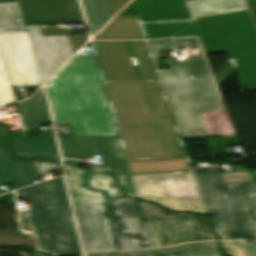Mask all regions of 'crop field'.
I'll use <instances>...</instances> for the list:
<instances>
[{
	"label": "crop field",
	"mask_w": 256,
	"mask_h": 256,
	"mask_svg": "<svg viewBox=\"0 0 256 256\" xmlns=\"http://www.w3.org/2000/svg\"><path fill=\"white\" fill-rule=\"evenodd\" d=\"M131 175L191 171L159 82H103Z\"/></svg>",
	"instance_id": "obj_1"
},
{
	"label": "crop field",
	"mask_w": 256,
	"mask_h": 256,
	"mask_svg": "<svg viewBox=\"0 0 256 256\" xmlns=\"http://www.w3.org/2000/svg\"><path fill=\"white\" fill-rule=\"evenodd\" d=\"M74 53L67 36L24 26L19 3L0 4V107L16 101L12 87H39Z\"/></svg>",
	"instance_id": "obj_2"
},
{
	"label": "crop field",
	"mask_w": 256,
	"mask_h": 256,
	"mask_svg": "<svg viewBox=\"0 0 256 256\" xmlns=\"http://www.w3.org/2000/svg\"><path fill=\"white\" fill-rule=\"evenodd\" d=\"M56 124L72 135L117 136L94 60L70 61L46 84Z\"/></svg>",
	"instance_id": "obj_3"
},
{
	"label": "crop field",
	"mask_w": 256,
	"mask_h": 256,
	"mask_svg": "<svg viewBox=\"0 0 256 256\" xmlns=\"http://www.w3.org/2000/svg\"><path fill=\"white\" fill-rule=\"evenodd\" d=\"M31 202L19 212L21 226L34 232L37 250L53 256L82 254L63 179L58 178L17 191Z\"/></svg>",
	"instance_id": "obj_4"
},
{
	"label": "crop field",
	"mask_w": 256,
	"mask_h": 256,
	"mask_svg": "<svg viewBox=\"0 0 256 256\" xmlns=\"http://www.w3.org/2000/svg\"><path fill=\"white\" fill-rule=\"evenodd\" d=\"M194 173L221 240L256 244L255 183L222 184L217 167L196 168Z\"/></svg>",
	"instance_id": "obj_5"
},
{
	"label": "crop field",
	"mask_w": 256,
	"mask_h": 256,
	"mask_svg": "<svg viewBox=\"0 0 256 256\" xmlns=\"http://www.w3.org/2000/svg\"><path fill=\"white\" fill-rule=\"evenodd\" d=\"M193 18L205 53H227L236 61L240 86L256 85V26L248 9Z\"/></svg>",
	"instance_id": "obj_6"
},
{
	"label": "crop field",
	"mask_w": 256,
	"mask_h": 256,
	"mask_svg": "<svg viewBox=\"0 0 256 256\" xmlns=\"http://www.w3.org/2000/svg\"><path fill=\"white\" fill-rule=\"evenodd\" d=\"M183 138L207 137L198 112L223 111L210 67L159 71Z\"/></svg>",
	"instance_id": "obj_7"
},
{
	"label": "crop field",
	"mask_w": 256,
	"mask_h": 256,
	"mask_svg": "<svg viewBox=\"0 0 256 256\" xmlns=\"http://www.w3.org/2000/svg\"><path fill=\"white\" fill-rule=\"evenodd\" d=\"M103 81H159L145 41L92 42Z\"/></svg>",
	"instance_id": "obj_8"
},
{
	"label": "crop field",
	"mask_w": 256,
	"mask_h": 256,
	"mask_svg": "<svg viewBox=\"0 0 256 256\" xmlns=\"http://www.w3.org/2000/svg\"><path fill=\"white\" fill-rule=\"evenodd\" d=\"M151 247H166L182 242L217 240L208 217L170 213L146 201L138 200Z\"/></svg>",
	"instance_id": "obj_9"
},
{
	"label": "crop field",
	"mask_w": 256,
	"mask_h": 256,
	"mask_svg": "<svg viewBox=\"0 0 256 256\" xmlns=\"http://www.w3.org/2000/svg\"><path fill=\"white\" fill-rule=\"evenodd\" d=\"M58 138L64 158L85 159L101 154L105 164L89 170L112 174L124 194L136 198L118 137L58 136Z\"/></svg>",
	"instance_id": "obj_10"
},
{
	"label": "crop field",
	"mask_w": 256,
	"mask_h": 256,
	"mask_svg": "<svg viewBox=\"0 0 256 256\" xmlns=\"http://www.w3.org/2000/svg\"><path fill=\"white\" fill-rule=\"evenodd\" d=\"M18 105L25 130L10 131L14 156L60 162L53 132L26 140L25 132L51 122L43 89Z\"/></svg>",
	"instance_id": "obj_11"
},
{
	"label": "crop field",
	"mask_w": 256,
	"mask_h": 256,
	"mask_svg": "<svg viewBox=\"0 0 256 256\" xmlns=\"http://www.w3.org/2000/svg\"><path fill=\"white\" fill-rule=\"evenodd\" d=\"M148 39L198 35L192 21L166 23V21L191 20L185 0H134Z\"/></svg>",
	"instance_id": "obj_12"
},
{
	"label": "crop field",
	"mask_w": 256,
	"mask_h": 256,
	"mask_svg": "<svg viewBox=\"0 0 256 256\" xmlns=\"http://www.w3.org/2000/svg\"><path fill=\"white\" fill-rule=\"evenodd\" d=\"M107 206L120 249L151 248L136 199L123 197Z\"/></svg>",
	"instance_id": "obj_13"
},
{
	"label": "crop field",
	"mask_w": 256,
	"mask_h": 256,
	"mask_svg": "<svg viewBox=\"0 0 256 256\" xmlns=\"http://www.w3.org/2000/svg\"><path fill=\"white\" fill-rule=\"evenodd\" d=\"M66 179L74 205L107 203L123 196L113 178L65 165Z\"/></svg>",
	"instance_id": "obj_14"
},
{
	"label": "crop field",
	"mask_w": 256,
	"mask_h": 256,
	"mask_svg": "<svg viewBox=\"0 0 256 256\" xmlns=\"http://www.w3.org/2000/svg\"><path fill=\"white\" fill-rule=\"evenodd\" d=\"M74 207L85 252L117 250L104 204Z\"/></svg>",
	"instance_id": "obj_15"
},
{
	"label": "crop field",
	"mask_w": 256,
	"mask_h": 256,
	"mask_svg": "<svg viewBox=\"0 0 256 256\" xmlns=\"http://www.w3.org/2000/svg\"><path fill=\"white\" fill-rule=\"evenodd\" d=\"M25 25L84 21L77 0H20Z\"/></svg>",
	"instance_id": "obj_16"
},
{
	"label": "crop field",
	"mask_w": 256,
	"mask_h": 256,
	"mask_svg": "<svg viewBox=\"0 0 256 256\" xmlns=\"http://www.w3.org/2000/svg\"><path fill=\"white\" fill-rule=\"evenodd\" d=\"M37 179L33 160L11 157L6 126L0 124V184L14 183L17 189Z\"/></svg>",
	"instance_id": "obj_17"
},
{
	"label": "crop field",
	"mask_w": 256,
	"mask_h": 256,
	"mask_svg": "<svg viewBox=\"0 0 256 256\" xmlns=\"http://www.w3.org/2000/svg\"><path fill=\"white\" fill-rule=\"evenodd\" d=\"M172 39L174 40L176 49L182 48L181 47L182 42H187L190 44L191 47L200 48L202 55L189 57L188 63H178L177 60L167 61L169 69L210 66L198 36L178 37V38H172ZM148 42L150 44L151 51L153 53V56L156 62H163V61H159L160 58H163L161 55V52L173 50L169 40H153Z\"/></svg>",
	"instance_id": "obj_18"
},
{
	"label": "crop field",
	"mask_w": 256,
	"mask_h": 256,
	"mask_svg": "<svg viewBox=\"0 0 256 256\" xmlns=\"http://www.w3.org/2000/svg\"><path fill=\"white\" fill-rule=\"evenodd\" d=\"M128 1L129 0H82L93 34L101 29Z\"/></svg>",
	"instance_id": "obj_19"
},
{
	"label": "crop field",
	"mask_w": 256,
	"mask_h": 256,
	"mask_svg": "<svg viewBox=\"0 0 256 256\" xmlns=\"http://www.w3.org/2000/svg\"><path fill=\"white\" fill-rule=\"evenodd\" d=\"M96 39H146L138 17H117Z\"/></svg>",
	"instance_id": "obj_20"
},
{
	"label": "crop field",
	"mask_w": 256,
	"mask_h": 256,
	"mask_svg": "<svg viewBox=\"0 0 256 256\" xmlns=\"http://www.w3.org/2000/svg\"><path fill=\"white\" fill-rule=\"evenodd\" d=\"M154 256H222L217 242L184 244L153 250Z\"/></svg>",
	"instance_id": "obj_21"
},
{
	"label": "crop field",
	"mask_w": 256,
	"mask_h": 256,
	"mask_svg": "<svg viewBox=\"0 0 256 256\" xmlns=\"http://www.w3.org/2000/svg\"><path fill=\"white\" fill-rule=\"evenodd\" d=\"M192 15L248 7L245 0H199L187 3Z\"/></svg>",
	"instance_id": "obj_22"
},
{
	"label": "crop field",
	"mask_w": 256,
	"mask_h": 256,
	"mask_svg": "<svg viewBox=\"0 0 256 256\" xmlns=\"http://www.w3.org/2000/svg\"><path fill=\"white\" fill-rule=\"evenodd\" d=\"M202 121L208 137L237 135L230 118Z\"/></svg>",
	"instance_id": "obj_23"
},
{
	"label": "crop field",
	"mask_w": 256,
	"mask_h": 256,
	"mask_svg": "<svg viewBox=\"0 0 256 256\" xmlns=\"http://www.w3.org/2000/svg\"><path fill=\"white\" fill-rule=\"evenodd\" d=\"M223 250L231 256H249L245 245L240 241L220 242Z\"/></svg>",
	"instance_id": "obj_24"
},
{
	"label": "crop field",
	"mask_w": 256,
	"mask_h": 256,
	"mask_svg": "<svg viewBox=\"0 0 256 256\" xmlns=\"http://www.w3.org/2000/svg\"><path fill=\"white\" fill-rule=\"evenodd\" d=\"M223 183L254 182L250 172L220 174Z\"/></svg>",
	"instance_id": "obj_25"
},
{
	"label": "crop field",
	"mask_w": 256,
	"mask_h": 256,
	"mask_svg": "<svg viewBox=\"0 0 256 256\" xmlns=\"http://www.w3.org/2000/svg\"><path fill=\"white\" fill-rule=\"evenodd\" d=\"M211 147L241 145L237 136L208 139Z\"/></svg>",
	"instance_id": "obj_26"
},
{
	"label": "crop field",
	"mask_w": 256,
	"mask_h": 256,
	"mask_svg": "<svg viewBox=\"0 0 256 256\" xmlns=\"http://www.w3.org/2000/svg\"><path fill=\"white\" fill-rule=\"evenodd\" d=\"M221 106L224 112H212V113H199L202 119H209V118H223V117H230L227 111L226 105L224 100H221Z\"/></svg>",
	"instance_id": "obj_27"
},
{
	"label": "crop field",
	"mask_w": 256,
	"mask_h": 256,
	"mask_svg": "<svg viewBox=\"0 0 256 256\" xmlns=\"http://www.w3.org/2000/svg\"><path fill=\"white\" fill-rule=\"evenodd\" d=\"M118 16H138L133 2H131Z\"/></svg>",
	"instance_id": "obj_28"
},
{
	"label": "crop field",
	"mask_w": 256,
	"mask_h": 256,
	"mask_svg": "<svg viewBox=\"0 0 256 256\" xmlns=\"http://www.w3.org/2000/svg\"><path fill=\"white\" fill-rule=\"evenodd\" d=\"M121 256H153L151 251L120 253Z\"/></svg>",
	"instance_id": "obj_29"
},
{
	"label": "crop field",
	"mask_w": 256,
	"mask_h": 256,
	"mask_svg": "<svg viewBox=\"0 0 256 256\" xmlns=\"http://www.w3.org/2000/svg\"><path fill=\"white\" fill-rule=\"evenodd\" d=\"M256 21V0H246Z\"/></svg>",
	"instance_id": "obj_30"
},
{
	"label": "crop field",
	"mask_w": 256,
	"mask_h": 256,
	"mask_svg": "<svg viewBox=\"0 0 256 256\" xmlns=\"http://www.w3.org/2000/svg\"><path fill=\"white\" fill-rule=\"evenodd\" d=\"M86 256H118V252L86 254Z\"/></svg>",
	"instance_id": "obj_31"
},
{
	"label": "crop field",
	"mask_w": 256,
	"mask_h": 256,
	"mask_svg": "<svg viewBox=\"0 0 256 256\" xmlns=\"http://www.w3.org/2000/svg\"><path fill=\"white\" fill-rule=\"evenodd\" d=\"M250 256H256V246H246Z\"/></svg>",
	"instance_id": "obj_32"
},
{
	"label": "crop field",
	"mask_w": 256,
	"mask_h": 256,
	"mask_svg": "<svg viewBox=\"0 0 256 256\" xmlns=\"http://www.w3.org/2000/svg\"><path fill=\"white\" fill-rule=\"evenodd\" d=\"M64 162L67 163V164H74L76 166H79V165L84 163V162H81V161H74V160H64Z\"/></svg>",
	"instance_id": "obj_33"
},
{
	"label": "crop field",
	"mask_w": 256,
	"mask_h": 256,
	"mask_svg": "<svg viewBox=\"0 0 256 256\" xmlns=\"http://www.w3.org/2000/svg\"><path fill=\"white\" fill-rule=\"evenodd\" d=\"M12 2H19L18 0H0V3H12Z\"/></svg>",
	"instance_id": "obj_34"
},
{
	"label": "crop field",
	"mask_w": 256,
	"mask_h": 256,
	"mask_svg": "<svg viewBox=\"0 0 256 256\" xmlns=\"http://www.w3.org/2000/svg\"><path fill=\"white\" fill-rule=\"evenodd\" d=\"M159 91H162V90H154V91H147V92H159Z\"/></svg>",
	"instance_id": "obj_35"
},
{
	"label": "crop field",
	"mask_w": 256,
	"mask_h": 256,
	"mask_svg": "<svg viewBox=\"0 0 256 256\" xmlns=\"http://www.w3.org/2000/svg\"><path fill=\"white\" fill-rule=\"evenodd\" d=\"M234 64H235V61L234 60H231Z\"/></svg>",
	"instance_id": "obj_36"
},
{
	"label": "crop field",
	"mask_w": 256,
	"mask_h": 256,
	"mask_svg": "<svg viewBox=\"0 0 256 256\" xmlns=\"http://www.w3.org/2000/svg\"><path fill=\"white\" fill-rule=\"evenodd\" d=\"M82 256V255H81Z\"/></svg>",
	"instance_id": "obj_37"
},
{
	"label": "crop field",
	"mask_w": 256,
	"mask_h": 256,
	"mask_svg": "<svg viewBox=\"0 0 256 256\" xmlns=\"http://www.w3.org/2000/svg\"><path fill=\"white\" fill-rule=\"evenodd\" d=\"M190 173V172H189Z\"/></svg>",
	"instance_id": "obj_38"
},
{
	"label": "crop field",
	"mask_w": 256,
	"mask_h": 256,
	"mask_svg": "<svg viewBox=\"0 0 256 256\" xmlns=\"http://www.w3.org/2000/svg\"><path fill=\"white\" fill-rule=\"evenodd\" d=\"M1 194V193H0Z\"/></svg>",
	"instance_id": "obj_39"
},
{
	"label": "crop field",
	"mask_w": 256,
	"mask_h": 256,
	"mask_svg": "<svg viewBox=\"0 0 256 256\" xmlns=\"http://www.w3.org/2000/svg\"><path fill=\"white\" fill-rule=\"evenodd\" d=\"M192 17V16H191Z\"/></svg>",
	"instance_id": "obj_40"
}]
</instances>
